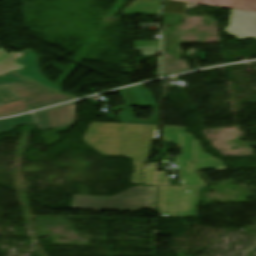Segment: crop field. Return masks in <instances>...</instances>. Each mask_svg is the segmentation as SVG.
<instances>
[{"label":"crop field","mask_w":256,"mask_h":256,"mask_svg":"<svg viewBox=\"0 0 256 256\" xmlns=\"http://www.w3.org/2000/svg\"><path fill=\"white\" fill-rule=\"evenodd\" d=\"M38 113L0 121V134L17 128L20 124H37Z\"/></svg>","instance_id":"14"},{"label":"crop field","mask_w":256,"mask_h":256,"mask_svg":"<svg viewBox=\"0 0 256 256\" xmlns=\"http://www.w3.org/2000/svg\"><path fill=\"white\" fill-rule=\"evenodd\" d=\"M24 52L17 54L11 52L9 55L0 47V75H4L12 70H21L24 66L15 63L17 58H21Z\"/></svg>","instance_id":"13"},{"label":"crop field","mask_w":256,"mask_h":256,"mask_svg":"<svg viewBox=\"0 0 256 256\" xmlns=\"http://www.w3.org/2000/svg\"><path fill=\"white\" fill-rule=\"evenodd\" d=\"M75 103L63 107L40 112L38 127L40 130L52 129L75 123Z\"/></svg>","instance_id":"7"},{"label":"crop field","mask_w":256,"mask_h":256,"mask_svg":"<svg viewBox=\"0 0 256 256\" xmlns=\"http://www.w3.org/2000/svg\"><path fill=\"white\" fill-rule=\"evenodd\" d=\"M178 1H181V0H178Z\"/></svg>","instance_id":"23"},{"label":"crop field","mask_w":256,"mask_h":256,"mask_svg":"<svg viewBox=\"0 0 256 256\" xmlns=\"http://www.w3.org/2000/svg\"><path fill=\"white\" fill-rule=\"evenodd\" d=\"M163 140L183 148L177 158L183 186H206L188 163L194 162V135L185 133V128L164 127Z\"/></svg>","instance_id":"4"},{"label":"crop field","mask_w":256,"mask_h":256,"mask_svg":"<svg viewBox=\"0 0 256 256\" xmlns=\"http://www.w3.org/2000/svg\"><path fill=\"white\" fill-rule=\"evenodd\" d=\"M159 126L133 124H91L84 141L105 155H123L134 159L132 183L142 184V166L152 141L158 139Z\"/></svg>","instance_id":"1"},{"label":"crop field","mask_w":256,"mask_h":256,"mask_svg":"<svg viewBox=\"0 0 256 256\" xmlns=\"http://www.w3.org/2000/svg\"><path fill=\"white\" fill-rule=\"evenodd\" d=\"M196 4L227 7L245 11L254 12L256 9V0H182Z\"/></svg>","instance_id":"11"},{"label":"crop field","mask_w":256,"mask_h":256,"mask_svg":"<svg viewBox=\"0 0 256 256\" xmlns=\"http://www.w3.org/2000/svg\"><path fill=\"white\" fill-rule=\"evenodd\" d=\"M190 3L168 0L163 12L185 14V11Z\"/></svg>","instance_id":"16"},{"label":"crop field","mask_w":256,"mask_h":256,"mask_svg":"<svg viewBox=\"0 0 256 256\" xmlns=\"http://www.w3.org/2000/svg\"><path fill=\"white\" fill-rule=\"evenodd\" d=\"M131 91L140 105L158 106L156 99L150 90L145 89L144 85L131 88Z\"/></svg>","instance_id":"15"},{"label":"crop field","mask_w":256,"mask_h":256,"mask_svg":"<svg viewBox=\"0 0 256 256\" xmlns=\"http://www.w3.org/2000/svg\"><path fill=\"white\" fill-rule=\"evenodd\" d=\"M145 184H155V164L150 163L144 167Z\"/></svg>","instance_id":"19"},{"label":"crop field","mask_w":256,"mask_h":256,"mask_svg":"<svg viewBox=\"0 0 256 256\" xmlns=\"http://www.w3.org/2000/svg\"><path fill=\"white\" fill-rule=\"evenodd\" d=\"M67 129H68V127L62 128V129H58V130H55V131L43 132L41 137L44 140V142L46 143V145H50V144H53V143H55V142L60 140L58 135H57V133L67 131Z\"/></svg>","instance_id":"17"},{"label":"crop field","mask_w":256,"mask_h":256,"mask_svg":"<svg viewBox=\"0 0 256 256\" xmlns=\"http://www.w3.org/2000/svg\"><path fill=\"white\" fill-rule=\"evenodd\" d=\"M18 63H22L27 65L26 69L23 72H17L19 75L24 76L30 80L35 82L41 83L45 86H48L55 90H62L50 82H48L41 74L40 69L38 67V58L37 56L31 51L27 50V54L24 56V59L18 61Z\"/></svg>","instance_id":"9"},{"label":"crop field","mask_w":256,"mask_h":256,"mask_svg":"<svg viewBox=\"0 0 256 256\" xmlns=\"http://www.w3.org/2000/svg\"><path fill=\"white\" fill-rule=\"evenodd\" d=\"M78 195H90L89 187L79 185Z\"/></svg>","instance_id":"20"},{"label":"crop field","mask_w":256,"mask_h":256,"mask_svg":"<svg viewBox=\"0 0 256 256\" xmlns=\"http://www.w3.org/2000/svg\"><path fill=\"white\" fill-rule=\"evenodd\" d=\"M21 82H31V81H29L23 77H20L14 73L6 75L4 77H0V86L14 84V83H21Z\"/></svg>","instance_id":"18"},{"label":"crop field","mask_w":256,"mask_h":256,"mask_svg":"<svg viewBox=\"0 0 256 256\" xmlns=\"http://www.w3.org/2000/svg\"><path fill=\"white\" fill-rule=\"evenodd\" d=\"M155 186H137L113 197L75 196L72 209L136 211L152 208Z\"/></svg>","instance_id":"2"},{"label":"crop field","mask_w":256,"mask_h":256,"mask_svg":"<svg viewBox=\"0 0 256 256\" xmlns=\"http://www.w3.org/2000/svg\"><path fill=\"white\" fill-rule=\"evenodd\" d=\"M121 94L127 103L126 109L121 114V118L124 123L157 125L158 108L152 107L153 114L149 120H139L135 117V115L130 107V106L136 105V103H135L129 89L121 91Z\"/></svg>","instance_id":"10"},{"label":"crop field","mask_w":256,"mask_h":256,"mask_svg":"<svg viewBox=\"0 0 256 256\" xmlns=\"http://www.w3.org/2000/svg\"><path fill=\"white\" fill-rule=\"evenodd\" d=\"M124 107H125V106L114 107V108H113V111L120 110V109H124Z\"/></svg>","instance_id":"22"},{"label":"crop field","mask_w":256,"mask_h":256,"mask_svg":"<svg viewBox=\"0 0 256 256\" xmlns=\"http://www.w3.org/2000/svg\"><path fill=\"white\" fill-rule=\"evenodd\" d=\"M196 160L197 163L191 164L196 171L216 168L217 170L226 169L219 159H214L210 154H204L200 146V140H196Z\"/></svg>","instance_id":"12"},{"label":"crop field","mask_w":256,"mask_h":256,"mask_svg":"<svg viewBox=\"0 0 256 256\" xmlns=\"http://www.w3.org/2000/svg\"><path fill=\"white\" fill-rule=\"evenodd\" d=\"M52 91L35 83H22L0 87V105Z\"/></svg>","instance_id":"8"},{"label":"crop field","mask_w":256,"mask_h":256,"mask_svg":"<svg viewBox=\"0 0 256 256\" xmlns=\"http://www.w3.org/2000/svg\"><path fill=\"white\" fill-rule=\"evenodd\" d=\"M70 98L72 97L61 95L55 91L48 92L2 106L0 107V116L25 112L30 109L44 107Z\"/></svg>","instance_id":"5"},{"label":"crop field","mask_w":256,"mask_h":256,"mask_svg":"<svg viewBox=\"0 0 256 256\" xmlns=\"http://www.w3.org/2000/svg\"><path fill=\"white\" fill-rule=\"evenodd\" d=\"M159 185H167V176L165 172L159 173Z\"/></svg>","instance_id":"21"},{"label":"crop field","mask_w":256,"mask_h":256,"mask_svg":"<svg viewBox=\"0 0 256 256\" xmlns=\"http://www.w3.org/2000/svg\"><path fill=\"white\" fill-rule=\"evenodd\" d=\"M224 32L239 40L256 38V13L231 9L230 24Z\"/></svg>","instance_id":"6"},{"label":"crop field","mask_w":256,"mask_h":256,"mask_svg":"<svg viewBox=\"0 0 256 256\" xmlns=\"http://www.w3.org/2000/svg\"><path fill=\"white\" fill-rule=\"evenodd\" d=\"M205 188L159 187V217H197Z\"/></svg>","instance_id":"3"}]
</instances>
